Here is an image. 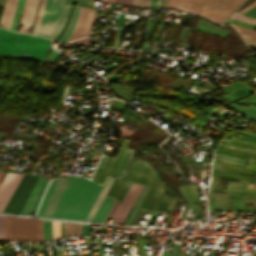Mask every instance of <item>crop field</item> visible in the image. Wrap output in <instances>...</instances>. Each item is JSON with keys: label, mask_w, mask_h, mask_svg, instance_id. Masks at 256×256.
Segmentation results:
<instances>
[{"label": "crop field", "mask_w": 256, "mask_h": 256, "mask_svg": "<svg viewBox=\"0 0 256 256\" xmlns=\"http://www.w3.org/2000/svg\"><path fill=\"white\" fill-rule=\"evenodd\" d=\"M243 0H174L173 7L222 24Z\"/></svg>", "instance_id": "crop-field-3"}, {"label": "crop field", "mask_w": 256, "mask_h": 256, "mask_svg": "<svg viewBox=\"0 0 256 256\" xmlns=\"http://www.w3.org/2000/svg\"><path fill=\"white\" fill-rule=\"evenodd\" d=\"M254 188V184L248 183L245 195H250Z\"/></svg>", "instance_id": "crop-field-40"}, {"label": "crop field", "mask_w": 256, "mask_h": 256, "mask_svg": "<svg viewBox=\"0 0 256 256\" xmlns=\"http://www.w3.org/2000/svg\"><path fill=\"white\" fill-rule=\"evenodd\" d=\"M59 224H60V222L53 221V236H54V240L60 238Z\"/></svg>", "instance_id": "crop-field-30"}, {"label": "crop field", "mask_w": 256, "mask_h": 256, "mask_svg": "<svg viewBox=\"0 0 256 256\" xmlns=\"http://www.w3.org/2000/svg\"><path fill=\"white\" fill-rule=\"evenodd\" d=\"M246 200L256 201V197H246Z\"/></svg>", "instance_id": "crop-field-52"}, {"label": "crop field", "mask_w": 256, "mask_h": 256, "mask_svg": "<svg viewBox=\"0 0 256 256\" xmlns=\"http://www.w3.org/2000/svg\"><path fill=\"white\" fill-rule=\"evenodd\" d=\"M137 210H138V207L132 206V208H131V210H130V212H129V214H128L125 222H124V224L130 225V223H131L133 217L135 216Z\"/></svg>", "instance_id": "crop-field-28"}, {"label": "crop field", "mask_w": 256, "mask_h": 256, "mask_svg": "<svg viewBox=\"0 0 256 256\" xmlns=\"http://www.w3.org/2000/svg\"><path fill=\"white\" fill-rule=\"evenodd\" d=\"M48 182V179L38 177L22 211L20 214H31L33 215L35 208L38 204L40 196Z\"/></svg>", "instance_id": "crop-field-8"}, {"label": "crop field", "mask_w": 256, "mask_h": 256, "mask_svg": "<svg viewBox=\"0 0 256 256\" xmlns=\"http://www.w3.org/2000/svg\"><path fill=\"white\" fill-rule=\"evenodd\" d=\"M223 167H225V168H230V169H235V170H240V171L243 170L242 168L231 167V166H225V165H223ZM225 168H223L222 170H227V171H231V172H235V173H239V174H243V175H247V176L256 178L255 176H252V175H249V174H245V173H242V172H239V171L230 170V169H225ZM212 171L221 172V173H227V174H233V175H239V174H235V173H231V172H227V171H219V170H214V169H212ZM243 171H244V172H247V173H250V174H253V175H256V172H254V171L245 170V169H244ZM243 175H239V176H243ZM244 177H246V176H244ZM250 177H249V178H250ZM254 178H253V179H254Z\"/></svg>", "instance_id": "crop-field-20"}, {"label": "crop field", "mask_w": 256, "mask_h": 256, "mask_svg": "<svg viewBox=\"0 0 256 256\" xmlns=\"http://www.w3.org/2000/svg\"><path fill=\"white\" fill-rule=\"evenodd\" d=\"M114 200H115L114 198L105 197L104 201L102 202V204L96 211L92 221L103 222V220H104L107 212L109 211Z\"/></svg>", "instance_id": "crop-field-13"}, {"label": "crop field", "mask_w": 256, "mask_h": 256, "mask_svg": "<svg viewBox=\"0 0 256 256\" xmlns=\"http://www.w3.org/2000/svg\"><path fill=\"white\" fill-rule=\"evenodd\" d=\"M243 40H244V39H243ZM244 42H245L246 44L256 45V42H255V41L244 40Z\"/></svg>", "instance_id": "crop-field-48"}, {"label": "crop field", "mask_w": 256, "mask_h": 256, "mask_svg": "<svg viewBox=\"0 0 256 256\" xmlns=\"http://www.w3.org/2000/svg\"><path fill=\"white\" fill-rule=\"evenodd\" d=\"M239 138H244V139H249V140H253V141H256V138H247V137H241L238 135Z\"/></svg>", "instance_id": "crop-field-54"}, {"label": "crop field", "mask_w": 256, "mask_h": 256, "mask_svg": "<svg viewBox=\"0 0 256 256\" xmlns=\"http://www.w3.org/2000/svg\"><path fill=\"white\" fill-rule=\"evenodd\" d=\"M215 177H212L210 190L214 191Z\"/></svg>", "instance_id": "crop-field-47"}, {"label": "crop field", "mask_w": 256, "mask_h": 256, "mask_svg": "<svg viewBox=\"0 0 256 256\" xmlns=\"http://www.w3.org/2000/svg\"><path fill=\"white\" fill-rule=\"evenodd\" d=\"M233 140H235V139H233ZM233 140L229 141V140L223 139L224 142L235 143V144H240V145H244V146L256 148V145H255L256 143H255V144H250V143H252V142H250V143H244V142H247V141L239 142V141H241V140H239V141H233Z\"/></svg>", "instance_id": "crop-field-32"}, {"label": "crop field", "mask_w": 256, "mask_h": 256, "mask_svg": "<svg viewBox=\"0 0 256 256\" xmlns=\"http://www.w3.org/2000/svg\"><path fill=\"white\" fill-rule=\"evenodd\" d=\"M139 163H140V160L132 159V161H131V163H130V165H129V169L136 171V169H137ZM141 164H142V161H141L139 167L141 166ZM144 165H145V163L143 162V164H142V166L140 167V169H139V167H138L139 171H138V169H137V171H138V172L136 171L137 174H136V172H133V171H129V170H128V171H127V174H126V176H125L124 179H125V180H128V181H132L133 177H134L135 174H136V176H135L134 179H133V182H136V180H137V178H138L140 172L142 171ZM147 165H148V164L146 163V165H145V167H144L142 173H143L144 170L146 169ZM150 170H151V167L148 165V167H147V169L145 170L144 174H143V175H142V173L140 174L139 178L141 177V175H142V177L140 178V180H139V178H138L139 183H142V184H143V182H144V180L146 179V177H147L148 173L150 172ZM154 171H155V170L152 168V170H151V172L149 173V175H148L147 179L145 180L144 184L148 185V183H149V181H150V179H151V177H152ZM138 180H137V182H138Z\"/></svg>", "instance_id": "crop-field-9"}, {"label": "crop field", "mask_w": 256, "mask_h": 256, "mask_svg": "<svg viewBox=\"0 0 256 256\" xmlns=\"http://www.w3.org/2000/svg\"><path fill=\"white\" fill-rule=\"evenodd\" d=\"M65 0H47L37 35L49 38L61 13Z\"/></svg>", "instance_id": "crop-field-5"}, {"label": "crop field", "mask_w": 256, "mask_h": 256, "mask_svg": "<svg viewBox=\"0 0 256 256\" xmlns=\"http://www.w3.org/2000/svg\"><path fill=\"white\" fill-rule=\"evenodd\" d=\"M133 0H114V3H119V4H128L132 6Z\"/></svg>", "instance_id": "crop-field-39"}, {"label": "crop field", "mask_w": 256, "mask_h": 256, "mask_svg": "<svg viewBox=\"0 0 256 256\" xmlns=\"http://www.w3.org/2000/svg\"><path fill=\"white\" fill-rule=\"evenodd\" d=\"M69 6L70 5H64V8L62 10V13L59 17V20L50 36V39H55V37L57 36V34L60 32L61 28H62V25L67 17V13H68V10H69Z\"/></svg>", "instance_id": "crop-field-16"}, {"label": "crop field", "mask_w": 256, "mask_h": 256, "mask_svg": "<svg viewBox=\"0 0 256 256\" xmlns=\"http://www.w3.org/2000/svg\"><path fill=\"white\" fill-rule=\"evenodd\" d=\"M42 223L43 220L6 216L4 240L43 242Z\"/></svg>", "instance_id": "crop-field-4"}, {"label": "crop field", "mask_w": 256, "mask_h": 256, "mask_svg": "<svg viewBox=\"0 0 256 256\" xmlns=\"http://www.w3.org/2000/svg\"><path fill=\"white\" fill-rule=\"evenodd\" d=\"M80 8L81 7H78V6L75 7V11H74V14H73L71 24L68 27L64 36L61 38L62 41H67L69 39L71 33L73 32V30L75 28V25H76V22H77V19H78V16H79Z\"/></svg>", "instance_id": "crop-field-18"}, {"label": "crop field", "mask_w": 256, "mask_h": 256, "mask_svg": "<svg viewBox=\"0 0 256 256\" xmlns=\"http://www.w3.org/2000/svg\"><path fill=\"white\" fill-rule=\"evenodd\" d=\"M127 143H128V140L124 139V141H123V143H122V145H121V147H120V149H119V151H118V153H117V155H116V157L113 161L112 167H111V169L108 173L109 175H114V173L117 169V165H118V163H119V161H120V159H121V157H122V155L125 151Z\"/></svg>", "instance_id": "crop-field-19"}, {"label": "crop field", "mask_w": 256, "mask_h": 256, "mask_svg": "<svg viewBox=\"0 0 256 256\" xmlns=\"http://www.w3.org/2000/svg\"><path fill=\"white\" fill-rule=\"evenodd\" d=\"M132 154H133V150L131 151V153L128 155V157H127V160H126V163H125V166H124V168H123V171H122V174H121V178H124V175H125V173H126V170H127V167H128V164H129V162H130V160H131V156H132Z\"/></svg>", "instance_id": "crop-field-35"}, {"label": "crop field", "mask_w": 256, "mask_h": 256, "mask_svg": "<svg viewBox=\"0 0 256 256\" xmlns=\"http://www.w3.org/2000/svg\"><path fill=\"white\" fill-rule=\"evenodd\" d=\"M172 4H173V0H168L167 7H172Z\"/></svg>", "instance_id": "crop-field-51"}, {"label": "crop field", "mask_w": 256, "mask_h": 256, "mask_svg": "<svg viewBox=\"0 0 256 256\" xmlns=\"http://www.w3.org/2000/svg\"><path fill=\"white\" fill-rule=\"evenodd\" d=\"M185 187H186V189H187V191H188V193H189V195H190V197L192 198V200H193L194 203H196L195 198H196V200H197L198 203H202L201 200H200V198L198 197L196 185H189V187H190V189L192 190V192H193L195 198H194V196H193L191 190L189 189L188 185H185ZM185 187H184V186H180L179 189H180L181 193L183 194L184 198L186 199V201H187L188 203H192V201H191V199H190V197H189V195H188V193H187Z\"/></svg>", "instance_id": "crop-field-15"}, {"label": "crop field", "mask_w": 256, "mask_h": 256, "mask_svg": "<svg viewBox=\"0 0 256 256\" xmlns=\"http://www.w3.org/2000/svg\"><path fill=\"white\" fill-rule=\"evenodd\" d=\"M219 145H220V146H225V147L234 148V147L227 146V145H222V144H219ZM234 149H238V148H234ZM239 150H243V149H239ZM244 151H248V150H244ZM249 152H253V151H249ZM253 153H256V152H253Z\"/></svg>", "instance_id": "crop-field-49"}, {"label": "crop field", "mask_w": 256, "mask_h": 256, "mask_svg": "<svg viewBox=\"0 0 256 256\" xmlns=\"http://www.w3.org/2000/svg\"><path fill=\"white\" fill-rule=\"evenodd\" d=\"M159 0H151L150 7H158Z\"/></svg>", "instance_id": "crop-field-46"}, {"label": "crop field", "mask_w": 256, "mask_h": 256, "mask_svg": "<svg viewBox=\"0 0 256 256\" xmlns=\"http://www.w3.org/2000/svg\"><path fill=\"white\" fill-rule=\"evenodd\" d=\"M231 18L238 19V20H241V21H244V22H247V23H251V24L256 25V20H255V19H252V18H248V17L236 15V14H233V15L231 16Z\"/></svg>", "instance_id": "crop-field-29"}, {"label": "crop field", "mask_w": 256, "mask_h": 256, "mask_svg": "<svg viewBox=\"0 0 256 256\" xmlns=\"http://www.w3.org/2000/svg\"><path fill=\"white\" fill-rule=\"evenodd\" d=\"M106 2H108V3H112V0H106Z\"/></svg>", "instance_id": "crop-field-60"}, {"label": "crop field", "mask_w": 256, "mask_h": 256, "mask_svg": "<svg viewBox=\"0 0 256 256\" xmlns=\"http://www.w3.org/2000/svg\"><path fill=\"white\" fill-rule=\"evenodd\" d=\"M149 186H150V188L147 191V193H146V195H145V197H144V199H143V201L140 205V208H142V209L146 208V206H147V204H148V202H149V200H150V198H151V196H152V194H153V192H154V190L157 186V183H154V182L151 181Z\"/></svg>", "instance_id": "crop-field-22"}, {"label": "crop field", "mask_w": 256, "mask_h": 256, "mask_svg": "<svg viewBox=\"0 0 256 256\" xmlns=\"http://www.w3.org/2000/svg\"><path fill=\"white\" fill-rule=\"evenodd\" d=\"M101 1H105V0H101Z\"/></svg>", "instance_id": "crop-field-62"}, {"label": "crop field", "mask_w": 256, "mask_h": 256, "mask_svg": "<svg viewBox=\"0 0 256 256\" xmlns=\"http://www.w3.org/2000/svg\"><path fill=\"white\" fill-rule=\"evenodd\" d=\"M214 161H219V160H215L214 159ZM220 162H222V161H220ZM225 165H231V166H237V167H243V166H240V165H234V164H228V163H224Z\"/></svg>", "instance_id": "crop-field-53"}, {"label": "crop field", "mask_w": 256, "mask_h": 256, "mask_svg": "<svg viewBox=\"0 0 256 256\" xmlns=\"http://www.w3.org/2000/svg\"><path fill=\"white\" fill-rule=\"evenodd\" d=\"M236 185H237V182H228L227 194L235 195ZM246 185L247 183H243V186H242V183L238 182L236 195H240L241 186H242L241 195L244 196ZM233 199H234V196L228 195L226 211H232ZM243 203H244V197L235 196L233 209L243 210Z\"/></svg>", "instance_id": "crop-field-10"}, {"label": "crop field", "mask_w": 256, "mask_h": 256, "mask_svg": "<svg viewBox=\"0 0 256 256\" xmlns=\"http://www.w3.org/2000/svg\"><path fill=\"white\" fill-rule=\"evenodd\" d=\"M43 240L49 242L53 240L52 236V221L44 220L43 223Z\"/></svg>", "instance_id": "crop-field-21"}, {"label": "crop field", "mask_w": 256, "mask_h": 256, "mask_svg": "<svg viewBox=\"0 0 256 256\" xmlns=\"http://www.w3.org/2000/svg\"><path fill=\"white\" fill-rule=\"evenodd\" d=\"M138 242H139V253H140V256H144L143 238H138Z\"/></svg>", "instance_id": "crop-field-38"}, {"label": "crop field", "mask_w": 256, "mask_h": 256, "mask_svg": "<svg viewBox=\"0 0 256 256\" xmlns=\"http://www.w3.org/2000/svg\"><path fill=\"white\" fill-rule=\"evenodd\" d=\"M166 198H167V196L164 195V197H163V199H162V201H161V203H160V205H159L157 211H161V208H162V206H163V204H164ZM171 200H172L171 198H169V197L167 198V200H166V202H165V204H164V206H163L161 212H163V213L166 212V210H167V208H168V206H169Z\"/></svg>", "instance_id": "crop-field-27"}, {"label": "crop field", "mask_w": 256, "mask_h": 256, "mask_svg": "<svg viewBox=\"0 0 256 256\" xmlns=\"http://www.w3.org/2000/svg\"><path fill=\"white\" fill-rule=\"evenodd\" d=\"M113 179L114 178H112V177H108L106 183L102 186L101 190L99 191V193H98L92 207L90 208L85 220L91 221L95 211L97 210V208L100 205L101 201L103 200L106 192L108 191Z\"/></svg>", "instance_id": "crop-field-11"}, {"label": "crop field", "mask_w": 256, "mask_h": 256, "mask_svg": "<svg viewBox=\"0 0 256 256\" xmlns=\"http://www.w3.org/2000/svg\"><path fill=\"white\" fill-rule=\"evenodd\" d=\"M249 161L256 163V160H254V159H249ZM245 168L256 171V164L249 162Z\"/></svg>", "instance_id": "crop-field-37"}, {"label": "crop field", "mask_w": 256, "mask_h": 256, "mask_svg": "<svg viewBox=\"0 0 256 256\" xmlns=\"http://www.w3.org/2000/svg\"><path fill=\"white\" fill-rule=\"evenodd\" d=\"M244 210H250V211H255L256 209H244Z\"/></svg>", "instance_id": "crop-field-59"}, {"label": "crop field", "mask_w": 256, "mask_h": 256, "mask_svg": "<svg viewBox=\"0 0 256 256\" xmlns=\"http://www.w3.org/2000/svg\"><path fill=\"white\" fill-rule=\"evenodd\" d=\"M162 189H163V187L159 185L155 194H154V196H153V198H152V200H151V202H150V204H149V206H148V208H147V210L152 211V209H153V207H154Z\"/></svg>", "instance_id": "crop-field-25"}, {"label": "crop field", "mask_w": 256, "mask_h": 256, "mask_svg": "<svg viewBox=\"0 0 256 256\" xmlns=\"http://www.w3.org/2000/svg\"><path fill=\"white\" fill-rule=\"evenodd\" d=\"M127 184H128V183H127V182H125V184H124V186H123V188H122V190H121V192H120V194H119L118 198L116 199V201H118V200H119V198H120L121 194L123 193V191H124L125 187L127 186ZM130 185H131V183H129V185L126 187V189H125L124 193L122 194V196H121V198H120V200H119L120 202H122V200H123V198H124V196H125L126 192L128 191V189H129Z\"/></svg>", "instance_id": "crop-field-34"}, {"label": "crop field", "mask_w": 256, "mask_h": 256, "mask_svg": "<svg viewBox=\"0 0 256 256\" xmlns=\"http://www.w3.org/2000/svg\"><path fill=\"white\" fill-rule=\"evenodd\" d=\"M256 5V1H254L253 3H251L249 6L243 8L240 10V12L244 13L245 11H247L248 9H250L251 7Z\"/></svg>", "instance_id": "crop-field-42"}, {"label": "crop field", "mask_w": 256, "mask_h": 256, "mask_svg": "<svg viewBox=\"0 0 256 256\" xmlns=\"http://www.w3.org/2000/svg\"><path fill=\"white\" fill-rule=\"evenodd\" d=\"M228 144V143H227ZM231 145H234V144H231ZM236 146H240V145H236ZM235 146V147H236ZM241 147H244V146H241ZM241 147H239V148H241ZM246 148H248V147H246ZM243 149H245V148H243ZM250 149H252V148H250ZM250 149H248V150H250ZM256 150V149H255ZM255 150H253V151H255Z\"/></svg>", "instance_id": "crop-field-56"}, {"label": "crop field", "mask_w": 256, "mask_h": 256, "mask_svg": "<svg viewBox=\"0 0 256 256\" xmlns=\"http://www.w3.org/2000/svg\"><path fill=\"white\" fill-rule=\"evenodd\" d=\"M223 256H226V255H223Z\"/></svg>", "instance_id": "crop-field-63"}, {"label": "crop field", "mask_w": 256, "mask_h": 256, "mask_svg": "<svg viewBox=\"0 0 256 256\" xmlns=\"http://www.w3.org/2000/svg\"><path fill=\"white\" fill-rule=\"evenodd\" d=\"M142 185L132 183L128 193L126 194L122 203L116 202L113 204L111 210L106 216L104 223L106 222L108 217L116 219L114 223L122 224L124 218L129 212L137 194L142 189ZM109 219V218H108Z\"/></svg>", "instance_id": "crop-field-6"}, {"label": "crop field", "mask_w": 256, "mask_h": 256, "mask_svg": "<svg viewBox=\"0 0 256 256\" xmlns=\"http://www.w3.org/2000/svg\"><path fill=\"white\" fill-rule=\"evenodd\" d=\"M212 176H223V175H216V174H212ZM223 177H227V178H233V177H229V176H223ZM233 179H235V180H239V181H243V182H251V183H253L252 181H247V180H243V179H239V178H233Z\"/></svg>", "instance_id": "crop-field-43"}, {"label": "crop field", "mask_w": 256, "mask_h": 256, "mask_svg": "<svg viewBox=\"0 0 256 256\" xmlns=\"http://www.w3.org/2000/svg\"><path fill=\"white\" fill-rule=\"evenodd\" d=\"M116 181H117V179L115 178V180H114V182H113V184H112V186H111V188H110V190H109L107 196L110 195V193H111V191H112V189H113V187H114ZM120 181H121V180H118V182H117V184H116V186H115V188H114V190H113V192H112V194H111V197H112L113 193L115 192V190L117 189V187H118ZM123 184H124V182L122 181L121 184L119 185L118 189L116 190L115 194L113 195L114 198H116V196H117V194L119 193L120 189L122 188Z\"/></svg>", "instance_id": "crop-field-26"}, {"label": "crop field", "mask_w": 256, "mask_h": 256, "mask_svg": "<svg viewBox=\"0 0 256 256\" xmlns=\"http://www.w3.org/2000/svg\"><path fill=\"white\" fill-rule=\"evenodd\" d=\"M227 195L216 194L215 209L225 210Z\"/></svg>", "instance_id": "crop-field-23"}, {"label": "crop field", "mask_w": 256, "mask_h": 256, "mask_svg": "<svg viewBox=\"0 0 256 256\" xmlns=\"http://www.w3.org/2000/svg\"><path fill=\"white\" fill-rule=\"evenodd\" d=\"M252 196H256V188H255V191H254V193H253V195Z\"/></svg>", "instance_id": "crop-field-58"}, {"label": "crop field", "mask_w": 256, "mask_h": 256, "mask_svg": "<svg viewBox=\"0 0 256 256\" xmlns=\"http://www.w3.org/2000/svg\"><path fill=\"white\" fill-rule=\"evenodd\" d=\"M51 40L0 29V55L25 56L43 60Z\"/></svg>", "instance_id": "crop-field-2"}, {"label": "crop field", "mask_w": 256, "mask_h": 256, "mask_svg": "<svg viewBox=\"0 0 256 256\" xmlns=\"http://www.w3.org/2000/svg\"><path fill=\"white\" fill-rule=\"evenodd\" d=\"M17 3H18V0H7L6 6L3 12V16L0 22L1 26L10 28Z\"/></svg>", "instance_id": "crop-field-12"}, {"label": "crop field", "mask_w": 256, "mask_h": 256, "mask_svg": "<svg viewBox=\"0 0 256 256\" xmlns=\"http://www.w3.org/2000/svg\"><path fill=\"white\" fill-rule=\"evenodd\" d=\"M214 158L224 160L225 162H228V163H234V164H240V165L244 164V163H241V162H235V161L227 160V159L216 157V156Z\"/></svg>", "instance_id": "crop-field-41"}, {"label": "crop field", "mask_w": 256, "mask_h": 256, "mask_svg": "<svg viewBox=\"0 0 256 256\" xmlns=\"http://www.w3.org/2000/svg\"><path fill=\"white\" fill-rule=\"evenodd\" d=\"M127 151H128V148L126 149V151H125V153H124V155H123V158H122V160H121V163H120V165H119V168H118V170H117L115 176H117V174H118V172H119V169H120V167H121V165H122L123 159H124V157H125ZM130 151H131V150H130ZM124 163H125V162H124ZM122 168H123V167H122ZM121 171H122V169H121ZM121 171H120V173H121ZM120 173H119L118 176H120Z\"/></svg>", "instance_id": "crop-field-44"}, {"label": "crop field", "mask_w": 256, "mask_h": 256, "mask_svg": "<svg viewBox=\"0 0 256 256\" xmlns=\"http://www.w3.org/2000/svg\"><path fill=\"white\" fill-rule=\"evenodd\" d=\"M22 176L23 174L6 173L0 184V212H2L4 206L10 199Z\"/></svg>", "instance_id": "crop-field-7"}, {"label": "crop field", "mask_w": 256, "mask_h": 256, "mask_svg": "<svg viewBox=\"0 0 256 256\" xmlns=\"http://www.w3.org/2000/svg\"><path fill=\"white\" fill-rule=\"evenodd\" d=\"M114 159V158H113ZM113 159H112V161H113ZM112 161H111V163H110V165H109V167H108V169L107 170H105V169H103L102 170V172H101V174H100V176H99V179H98V183H103L104 182V180H105V178H106V175H107V173H108V171H109V168H110V166H111V164H112Z\"/></svg>", "instance_id": "crop-field-33"}, {"label": "crop field", "mask_w": 256, "mask_h": 256, "mask_svg": "<svg viewBox=\"0 0 256 256\" xmlns=\"http://www.w3.org/2000/svg\"><path fill=\"white\" fill-rule=\"evenodd\" d=\"M187 207H188V206H186V205L184 206V209H183V212H182V215H181V216H184V215H185V212H186V210H187Z\"/></svg>", "instance_id": "crop-field-55"}, {"label": "crop field", "mask_w": 256, "mask_h": 256, "mask_svg": "<svg viewBox=\"0 0 256 256\" xmlns=\"http://www.w3.org/2000/svg\"><path fill=\"white\" fill-rule=\"evenodd\" d=\"M224 148H225V147H224ZM224 148L218 147L217 149H218V150H222V151H226V152H230V153H234V154H239V155H243V156H249V157L256 158V156H252V155H256V154H252V153L240 151V152L252 154V155H248V154H243V153H239V152L232 151V150H234V149L228 150V149H230V148H228V149H224ZM218 150H216L217 153L227 154V155L236 156V157H241V158H245V159H246V157H243V156L234 155V154H230V153H226V152H222V151H218ZM236 151H239V150H236ZM217 153H215L214 155L220 156V157H225V158L232 159V160H236V161H242V162H245V161H246V160H244V159L235 158V157H230V156L221 155V154H217Z\"/></svg>", "instance_id": "crop-field-14"}, {"label": "crop field", "mask_w": 256, "mask_h": 256, "mask_svg": "<svg viewBox=\"0 0 256 256\" xmlns=\"http://www.w3.org/2000/svg\"><path fill=\"white\" fill-rule=\"evenodd\" d=\"M255 255H256V253H255Z\"/></svg>", "instance_id": "crop-field-64"}, {"label": "crop field", "mask_w": 256, "mask_h": 256, "mask_svg": "<svg viewBox=\"0 0 256 256\" xmlns=\"http://www.w3.org/2000/svg\"><path fill=\"white\" fill-rule=\"evenodd\" d=\"M244 208H256L254 206H245Z\"/></svg>", "instance_id": "crop-field-57"}, {"label": "crop field", "mask_w": 256, "mask_h": 256, "mask_svg": "<svg viewBox=\"0 0 256 256\" xmlns=\"http://www.w3.org/2000/svg\"><path fill=\"white\" fill-rule=\"evenodd\" d=\"M100 187L82 177L53 180L37 216L84 220Z\"/></svg>", "instance_id": "crop-field-1"}, {"label": "crop field", "mask_w": 256, "mask_h": 256, "mask_svg": "<svg viewBox=\"0 0 256 256\" xmlns=\"http://www.w3.org/2000/svg\"><path fill=\"white\" fill-rule=\"evenodd\" d=\"M231 26L236 31V33L241 36V38L256 41V31L255 30H251V29H247V28H243V27H239V26H235V25H231Z\"/></svg>", "instance_id": "crop-field-17"}, {"label": "crop field", "mask_w": 256, "mask_h": 256, "mask_svg": "<svg viewBox=\"0 0 256 256\" xmlns=\"http://www.w3.org/2000/svg\"><path fill=\"white\" fill-rule=\"evenodd\" d=\"M4 218L5 216H0V241L3 240Z\"/></svg>", "instance_id": "crop-field-36"}, {"label": "crop field", "mask_w": 256, "mask_h": 256, "mask_svg": "<svg viewBox=\"0 0 256 256\" xmlns=\"http://www.w3.org/2000/svg\"><path fill=\"white\" fill-rule=\"evenodd\" d=\"M222 164L218 162H213L212 168L221 170Z\"/></svg>", "instance_id": "crop-field-45"}, {"label": "crop field", "mask_w": 256, "mask_h": 256, "mask_svg": "<svg viewBox=\"0 0 256 256\" xmlns=\"http://www.w3.org/2000/svg\"><path fill=\"white\" fill-rule=\"evenodd\" d=\"M150 0H134L133 6L149 7Z\"/></svg>", "instance_id": "crop-field-31"}, {"label": "crop field", "mask_w": 256, "mask_h": 256, "mask_svg": "<svg viewBox=\"0 0 256 256\" xmlns=\"http://www.w3.org/2000/svg\"><path fill=\"white\" fill-rule=\"evenodd\" d=\"M233 138H235V137H233ZM235 139H238V138H235ZM242 140H244V139H242ZM247 141H249V140H247Z\"/></svg>", "instance_id": "crop-field-61"}, {"label": "crop field", "mask_w": 256, "mask_h": 256, "mask_svg": "<svg viewBox=\"0 0 256 256\" xmlns=\"http://www.w3.org/2000/svg\"><path fill=\"white\" fill-rule=\"evenodd\" d=\"M24 2H25V0H19V4H18L17 10H16V14H15V17H14V20H13L12 27H11L12 30H15V28L18 24L20 14H21V11H22L23 6H24Z\"/></svg>", "instance_id": "crop-field-24"}, {"label": "crop field", "mask_w": 256, "mask_h": 256, "mask_svg": "<svg viewBox=\"0 0 256 256\" xmlns=\"http://www.w3.org/2000/svg\"><path fill=\"white\" fill-rule=\"evenodd\" d=\"M196 211H197V206L195 205V208H194V216H193V221H195V219H196Z\"/></svg>", "instance_id": "crop-field-50"}]
</instances>
